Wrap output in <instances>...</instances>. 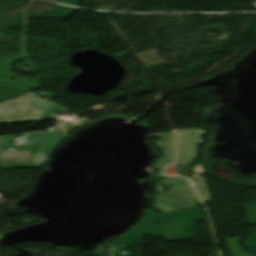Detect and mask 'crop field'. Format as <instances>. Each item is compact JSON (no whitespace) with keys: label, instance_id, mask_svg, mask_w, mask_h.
Returning a JSON list of instances; mask_svg holds the SVG:
<instances>
[{"label":"crop field","instance_id":"8a807250","mask_svg":"<svg viewBox=\"0 0 256 256\" xmlns=\"http://www.w3.org/2000/svg\"><path fill=\"white\" fill-rule=\"evenodd\" d=\"M154 212L147 210L137 226L120 236L122 246L140 242L144 234L161 237L166 241L193 239L190 237H193L194 221L204 220L201 209L160 214ZM157 222H161V225H157Z\"/></svg>","mask_w":256,"mask_h":256},{"label":"crop field","instance_id":"ac0d7876","mask_svg":"<svg viewBox=\"0 0 256 256\" xmlns=\"http://www.w3.org/2000/svg\"><path fill=\"white\" fill-rule=\"evenodd\" d=\"M54 103L31 93L0 103V123L43 120Z\"/></svg>","mask_w":256,"mask_h":256},{"label":"crop field","instance_id":"34b2d1b8","mask_svg":"<svg viewBox=\"0 0 256 256\" xmlns=\"http://www.w3.org/2000/svg\"><path fill=\"white\" fill-rule=\"evenodd\" d=\"M160 182L168 184L172 190H162ZM200 203L197 194L185 178L163 179L158 182L155 207L159 212L201 207L195 206Z\"/></svg>","mask_w":256,"mask_h":256},{"label":"crop field","instance_id":"412701ff","mask_svg":"<svg viewBox=\"0 0 256 256\" xmlns=\"http://www.w3.org/2000/svg\"><path fill=\"white\" fill-rule=\"evenodd\" d=\"M65 138H67L66 132L45 131L23 133L14 138L13 148L19 151L29 150L34 165L39 167L46 163L49 153ZM40 143L42 144L38 151L33 153L32 150H36ZM48 151L50 152L45 155Z\"/></svg>","mask_w":256,"mask_h":256},{"label":"crop field","instance_id":"f4fd0767","mask_svg":"<svg viewBox=\"0 0 256 256\" xmlns=\"http://www.w3.org/2000/svg\"><path fill=\"white\" fill-rule=\"evenodd\" d=\"M190 131H195L206 135L209 134L199 129L177 131L179 137L178 159L176 161L177 165L174 166L191 165V161L195 160L197 157L196 141H198L199 144H202V135L191 133Z\"/></svg>","mask_w":256,"mask_h":256},{"label":"crop field","instance_id":"dd49c442","mask_svg":"<svg viewBox=\"0 0 256 256\" xmlns=\"http://www.w3.org/2000/svg\"><path fill=\"white\" fill-rule=\"evenodd\" d=\"M12 136H0V165L2 169L34 167L28 151L19 152L17 150L10 151L8 148L12 146Z\"/></svg>","mask_w":256,"mask_h":256},{"label":"crop field","instance_id":"e52e79f7","mask_svg":"<svg viewBox=\"0 0 256 256\" xmlns=\"http://www.w3.org/2000/svg\"><path fill=\"white\" fill-rule=\"evenodd\" d=\"M156 144L163 150V157L157 160L154 163V166L163 170L166 164H171L175 161V132L173 131L167 135L160 136V139L159 141H156Z\"/></svg>","mask_w":256,"mask_h":256},{"label":"crop field","instance_id":"d8731c3e","mask_svg":"<svg viewBox=\"0 0 256 256\" xmlns=\"http://www.w3.org/2000/svg\"><path fill=\"white\" fill-rule=\"evenodd\" d=\"M224 241L231 253V256H254L249 253H243L242 248L239 247V238H224Z\"/></svg>","mask_w":256,"mask_h":256},{"label":"crop field","instance_id":"5a996713","mask_svg":"<svg viewBox=\"0 0 256 256\" xmlns=\"http://www.w3.org/2000/svg\"><path fill=\"white\" fill-rule=\"evenodd\" d=\"M193 180L196 182L198 186L196 187V190L199 193L200 197L202 198L203 202L205 203V202L211 201L210 191L206 184L205 178L196 177V178H193Z\"/></svg>","mask_w":256,"mask_h":256},{"label":"crop field","instance_id":"3316defc","mask_svg":"<svg viewBox=\"0 0 256 256\" xmlns=\"http://www.w3.org/2000/svg\"><path fill=\"white\" fill-rule=\"evenodd\" d=\"M69 110L55 104L52 108H50L46 114L43 116L44 120L48 119H54V118H60V116L55 115V113L58 114H67Z\"/></svg>","mask_w":256,"mask_h":256},{"label":"crop field","instance_id":"28ad6ade","mask_svg":"<svg viewBox=\"0 0 256 256\" xmlns=\"http://www.w3.org/2000/svg\"><path fill=\"white\" fill-rule=\"evenodd\" d=\"M158 176L159 177H163L164 175H163V171H158Z\"/></svg>","mask_w":256,"mask_h":256}]
</instances>
